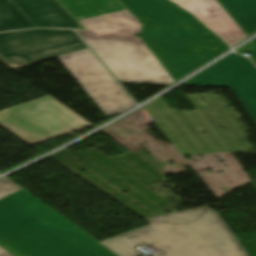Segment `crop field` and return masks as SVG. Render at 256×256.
I'll list each match as a JSON object with an SVG mask.
<instances>
[{
	"label": "crop field",
	"instance_id": "1",
	"mask_svg": "<svg viewBox=\"0 0 256 256\" xmlns=\"http://www.w3.org/2000/svg\"><path fill=\"white\" fill-rule=\"evenodd\" d=\"M0 245L15 256H116L7 177L0 180ZM0 247V256H11Z\"/></svg>",
	"mask_w": 256,
	"mask_h": 256
},
{
	"label": "crop field",
	"instance_id": "2",
	"mask_svg": "<svg viewBox=\"0 0 256 256\" xmlns=\"http://www.w3.org/2000/svg\"><path fill=\"white\" fill-rule=\"evenodd\" d=\"M151 225L101 242L119 256H248L216 212L208 206L146 218Z\"/></svg>",
	"mask_w": 256,
	"mask_h": 256
},
{
	"label": "crop field",
	"instance_id": "3",
	"mask_svg": "<svg viewBox=\"0 0 256 256\" xmlns=\"http://www.w3.org/2000/svg\"><path fill=\"white\" fill-rule=\"evenodd\" d=\"M144 24L142 40L178 81L229 49L192 14L168 0H119Z\"/></svg>",
	"mask_w": 256,
	"mask_h": 256
},
{
	"label": "crop field",
	"instance_id": "4",
	"mask_svg": "<svg viewBox=\"0 0 256 256\" xmlns=\"http://www.w3.org/2000/svg\"><path fill=\"white\" fill-rule=\"evenodd\" d=\"M78 31L119 82L170 85L173 79L140 38V22L128 11L79 21Z\"/></svg>",
	"mask_w": 256,
	"mask_h": 256
},
{
	"label": "crop field",
	"instance_id": "5",
	"mask_svg": "<svg viewBox=\"0 0 256 256\" xmlns=\"http://www.w3.org/2000/svg\"><path fill=\"white\" fill-rule=\"evenodd\" d=\"M0 125L31 146L91 126L50 96L1 111Z\"/></svg>",
	"mask_w": 256,
	"mask_h": 256
},
{
	"label": "crop field",
	"instance_id": "6",
	"mask_svg": "<svg viewBox=\"0 0 256 256\" xmlns=\"http://www.w3.org/2000/svg\"><path fill=\"white\" fill-rule=\"evenodd\" d=\"M87 48L73 30L0 33V61L13 70Z\"/></svg>",
	"mask_w": 256,
	"mask_h": 256
},
{
	"label": "crop field",
	"instance_id": "7",
	"mask_svg": "<svg viewBox=\"0 0 256 256\" xmlns=\"http://www.w3.org/2000/svg\"><path fill=\"white\" fill-rule=\"evenodd\" d=\"M58 59L80 82L106 116L135 105L89 48Z\"/></svg>",
	"mask_w": 256,
	"mask_h": 256
},
{
	"label": "crop field",
	"instance_id": "8",
	"mask_svg": "<svg viewBox=\"0 0 256 256\" xmlns=\"http://www.w3.org/2000/svg\"><path fill=\"white\" fill-rule=\"evenodd\" d=\"M253 66L246 58L232 53L183 85L230 87L256 122V68Z\"/></svg>",
	"mask_w": 256,
	"mask_h": 256
},
{
	"label": "crop field",
	"instance_id": "9",
	"mask_svg": "<svg viewBox=\"0 0 256 256\" xmlns=\"http://www.w3.org/2000/svg\"><path fill=\"white\" fill-rule=\"evenodd\" d=\"M36 27L84 30L56 0H11ZM34 27L9 0H0V32Z\"/></svg>",
	"mask_w": 256,
	"mask_h": 256
},
{
	"label": "crop field",
	"instance_id": "10",
	"mask_svg": "<svg viewBox=\"0 0 256 256\" xmlns=\"http://www.w3.org/2000/svg\"><path fill=\"white\" fill-rule=\"evenodd\" d=\"M190 10L230 46L246 38L216 0H174Z\"/></svg>",
	"mask_w": 256,
	"mask_h": 256
},
{
	"label": "crop field",
	"instance_id": "11",
	"mask_svg": "<svg viewBox=\"0 0 256 256\" xmlns=\"http://www.w3.org/2000/svg\"><path fill=\"white\" fill-rule=\"evenodd\" d=\"M77 20L127 9L118 0H59Z\"/></svg>",
	"mask_w": 256,
	"mask_h": 256
},
{
	"label": "crop field",
	"instance_id": "12",
	"mask_svg": "<svg viewBox=\"0 0 256 256\" xmlns=\"http://www.w3.org/2000/svg\"><path fill=\"white\" fill-rule=\"evenodd\" d=\"M218 1L227 9L247 35L256 30V0Z\"/></svg>",
	"mask_w": 256,
	"mask_h": 256
},
{
	"label": "crop field",
	"instance_id": "13",
	"mask_svg": "<svg viewBox=\"0 0 256 256\" xmlns=\"http://www.w3.org/2000/svg\"><path fill=\"white\" fill-rule=\"evenodd\" d=\"M254 48V44L251 42L250 44L246 45L245 47L241 48L240 50L236 51L240 54L251 52Z\"/></svg>",
	"mask_w": 256,
	"mask_h": 256
},
{
	"label": "crop field",
	"instance_id": "14",
	"mask_svg": "<svg viewBox=\"0 0 256 256\" xmlns=\"http://www.w3.org/2000/svg\"><path fill=\"white\" fill-rule=\"evenodd\" d=\"M253 43L255 44V49L252 52L251 57L256 62V40H254Z\"/></svg>",
	"mask_w": 256,
	"mask_h": 256
},
{
	"label": "crop field",
	"instance_id": "15",
	"mask_svg": "<svg viewBox=\"0 0 256 256\" xmlns=\"http://www.w3.org/2000/svg\"><path fill=\"white\" fill-rule=\"evenodd\" d=\"M17 8V7H16ZM18 9V8H17ZM19 10V9H18ZM20 11V10H19ZM21 12V11H20ZM22 13V12H21ZM23 14V13H22ZM24 15V14H23ZM25 16V15H24Z\"/></svg>",
	"mask_w": 256,
	"mask_h": 256
}]
</instances>
